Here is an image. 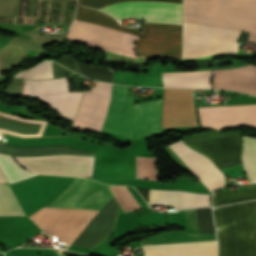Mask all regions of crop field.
I'll use <instances>...</instances> for the list:
<instances>
[{"instance_id":"crop-field-1","label":"crop field","mask_w":256,"mask_h":256,"mask_svg":"<svg viewBox=\"0 0 256 256\" xmlns=\"http://www.w3.org/2000/svg\"><path fill=\"white\" fill-rule=\"evenodd\" d=\"M182 21L246 31L256 41V0H183ZM185 22L182 58L237 53L241 32Z\"/></svg>"},{"instance_id":"crop-field-2","label":"crop field","mask_w":256,"mask_h":256,"mask_svg":"<svg viewBox=\"0 0 256 256\" xmlns=\"http://www.w3.org/2000/svg\"><path fill=\"white\" fill-rule=\"evenodd\" d=\"M121 1H160L181 3V0H78V3L99 9ZM160 2H122L99 9L115 19L136 16L145 22L181 24V4ZM136 51L139 56H161L181 59V25L146 23Z\"/></svg>"},{"instance_id":"crop-field-3","label":"crop field","mask_w":256,"mask_h":256,"mask_svg":"<svg viewBox=\"0 0 256 256\" xmlns=\"http://www.w3.org/2000/svg\"><path fill=\"white\" fill-rule=\"evenodd\" d=\"M109 187L89 179L76 178L45 207L100 210L113 197ZM97 212L73 210L53 235L71 244Z\"/></svg>"},{"instance_id":"crop-field-4","label":"crop field","mask_w":256,"mask_h":256,"mask_svg":"<svg viewBox=\"0 0 256 256\" xmlns=\"http://www.w3.org/2000/svg\"><path fill=\"white\" fill-rule=\"evenodd\" d=\"M218 256H256V201L214 208Z\"/></svg>"},{"instance_id":"crop-field-5","label":"crop field","mask_w":256,"mask_h":256,"mask_svg":"<svg viewBox=\"0 0 256 256\" xmlns=\"http://www.w3.org/2000/svg\"><path fill=\"white\" fill-rule=\"evenodd\" d=\"M74 20L120 30L132 35L140 36L142 34L141 32L122 27L111 17L90 8L77 6L76 17ZM77 21H73L67 32V38L86 42L91 46L109 52L134 55L133 44L138 37Z\"/></svg>"},{"instance_id":"crop-field-6","label":"crop field","mask_w":256,"mask_h":256,"mask_svg":"<svg viewBox=\"0 0 256 256\" xmlns=\"http://www.w3.org/2000/svg\"><path fill=\"white\" fill-rule=\"evenodd\" d=\"M83 92L68 93L66 78L24 80L23 94L36 95L57 109L65 118L74 120Z\"/></svg>"},{"instance_id":"crop-field-7","label":"crop field","mask_w":256,"mask_h":256,"mask_svg":"<svg viewBox=\"0 0 256 256\" xmlns=\"http://www.w3.org/2000/svg\"><path fill=\"white\" fill-rule=\"evenodd\" d=\"M19 163L33 165L62 166L92 169L94 157L72 156V155H55L46 157H15ZM23 167L35 173L52 174V175H71L91 177L92 170L44 167L21 164Z\"/></svg>"},{"instance_id":"crop-field-8","label":"crop field","mask_w":256,"mask_h":256,"mask_svg":"<svg viewBox=\"0 0 256 256\" xmlns=\"http://www.w3.org/2000/svg\"><path fill=\"white\" fill-rule=\"evenodd\" d=\"M111 85L97 83L90 92H84L73 126L100 131L104 120Z\"/></svg>"},{"instance_id":"crop-field-9","label":"crop field","mask_w":256,"mask_h":256,"mask_svg":"<svg viewBox=\"0 0 256 256\" xmlns=\"http://www.w3.org/2000/svg\"><path fill=\"white\" fill-rule=\"evenodd\" d=\"M202 124L215 130L235 125L256 127V105L199 108Z\"/></svg>"},{"instance_id":"crop-field-10","label":"crop field","mask_w":256,"mask_h":256,"mask_svg":"<svg viewBox=\"0 0 256 256\" xmlns=\"http://www.w3.org/2000/svg\"><path fill=\"white\" fill-rule=\"evenodd\" d=\"M169 147L210 191L224 186V174L215 167L211 160L191 150L181 140Z\"/></svg>"},{"instance_id":"crop-field-11","label":"crop field","mask_w":256,"mask_h":256,"mask_svg":"<svg viewBox=\"0 0 256 256\" xmlns=\"http://www.w3.org/2000/svg\"><path fill=\"white\" fill-rule=\"evenodd\" d=\"M133 97H126V87L112 85L111 102L102 131L128 137L132 116Z\"/></svg>"},{"instance_id":"crop-field-12","label":"crop field","mask_w":256,"mask_h":256,"mask_svg":"<svg viewBox=\"0 0 256 256\" xmlns=\"http://www.w3.org/2000/svg\"><path fill=\"white\" fill-rule=\"evenodd\" d=\"M187 145L210 157L219 169L238 165L240 162L241 144L238 134Z\"/></svg>"},{"instance_id":"crop-field-13","label":"crop field","mask_w":256,"mask_h":256,"mask_svg":"<svg viewBox=\"0 0 256 256\" xmlns=\"http://www.w3.org/2000/svg\"><path fill=\"white\" fill-rule=\"evenodd\" d=\"M213 87L256 95V67L212 70Z\"/></svg>"},{"instance_id":"crop-field-14","label":"crop field","mask_w":256,"mask_h":256,"mask_svg":"<svg viewBox=\"0 0 256 256\" xmlns=\"http://www.w3.org/2000/svg\"><path fill=\"white\" fill-rule=\"evenodd\" d=\"M163 100L136 104L135 116L129 139L146 138L160 134L161 110Z\"/></svg>"},{"instance_id":"crop-field-15","label":"crop field","mask_w":256,"mask_h":256,"mask_svg":"<svg viewBox=\"0 0 256 256\" xmlns=\"http://www.w3.org/2000/svg\"><path fill=\"white\" fill-rule=\"evenodd\" d=\"M143 256H216V240L143 246Z\"/></svg>"},{"instance_id":"crop-field-16","label":"crop field","mask_w":256,"mask_h":256,"mask_svg":"<svg viewBox=\"0 0 256 256\" xmlns=\"http://www.w3.org/2000/svg\"><path fill=\"white\" fill-rule=\"evenodd\" d=\"M158 201L179 209V191L149 189V204ZM209 206V195L180 191V209Z\"/></svg>"},{"instance_id":"crop-field-17","label":"crop field","mask_w":256,"mask_h":256,"mask_svg":"<svg viewBox=\"0 0 256 256\" xmlns=\"http://www.w3.org/2000/svg\"><path fill=\"white\" fill-rule=\"evenodd\" d=\"M211 70L196 72L163 73L164 87L211 88Z\"/></svg>"},{"instance_id":"crop-field-18","label":"crop field","mask_w":256,"mask_h":256,"mask_svg":"<svg viewBox=\"0 0 256 256\" xmlns=\"http://www.w3.org/2000/svg\"><path fill=\"white\" fill-rule=\"evenodd\" d=\"M242 165L250 183H256V138L243 136Z\"/></svg>"},{"instance_id":"crop-field-19","label":"crop field","mask_w":256,"mask_h":256,"mask_svg":"<svg viewBox=\"0 0 256 256\" xmlns=\"http://www.w3.org/2000/svg\"><path fill=\"white\" fill-rule=\"evenodd\" d=\"M0 216H26L9 185L0 184Z\"/></svg>"},{"instance_id":"crop-field-20","label":"crop field","mask_w":256,"mask_h":256,"mask_svg":"<svg viewBox=\"0 0 256 256\" xmlns=\"http://www.w3.org/2000/svg\"><path fill=\"white\" fill-rule=\"evenodd\" d=\"M249 186L251 190L214 193L213 206L256 199V184Z\"/></svg>"},{"instance_id":"crop-field-21","label":"crop field","mask_w":256,"mask_h":256,"mask_svg":"<svg viewBox=\"0 0 256 256\" xmlns=\"http://www.w3.org/2000/svg\"><path fill=\"white\" fill-rule=\"evenodd\" d=\"M0 168L8 183L25 179L34 175L20 168L16 161L10 156L0 155Z\"/></svg>"},{"instance_id":"crop-field-22","label":"crop field","mask_w":256,"mask_h":256,"mask_svg":"<svg viewBox=\"0 0 256 256\" xmlns=\"http://www.w3.org/2000/svg\"><path fill=\"white\" fill-rule=\"evenodd\" d=\"M80 73L96 81L111 83L113 69L76 63Z\"/></svg>"},{"instance_id":"crop-field-23","label":"crop field","mask_w":256,"mask_h":256,"mask_svg":"<svg viewBox=\"0 0 256 256\" xmlns=\"http://www.w3.org/2000/svg\"><path fill=\"white\" fill-rule=\"evenodd\" d=\"M16 78L51 79L53 78L51 61H44L36 67L15 74Z\"/></svg>"},{"instance_id":"crop-field-24","label":"crop field","mask_w":256,"mask_h":256,"mask_svg":"<svg viewBox=\"0 0 256 256\" xmlns=\"http://www.w3.org/2000/svg\"><path fill=\"white\" fill-rule=\"evenodd\" d=\"M136 177L156 180L155 158L136 157Z\"/></svg>"},{"instance_id":"crop-field-25","label":"crop field","mask_w":256,"mask_h":256,"mask_svg":"<svg viewBox=\"0 0 256 256\" xmlns=\"http://www.w3.org/2000/svg\"><path fill=\"white\" fill-rule=\"evenodd\" d=\"M184 213H185L187 228L199 232L194 209L184 210Z\"/></svg>"},{"instance_id":"crop-field-26","label":"crop field","mask_w":256,"mask_h":256,"mask_svg":"<svg viewBox=\"0 0 256 256\" xmlns=\"http://www.w3.org/2000/svg\"><path fill=\"white\" fill-rule=\"evenodd\" d=\"M54 61L79 73V71L76 67L75 61H74V59L71 55L61 57V58H59L57 60H54Z\"/></svg>"},{"instance_id":"crop-field-27","label":"crop field","mask_w":256,"mask_h":256,"mask_svg":"<svg viewBox=\"0 0 256 256\" xmlns=\"http://www.w3.org/2000/svg\"><path fill=\"white\" fill-rule=\"evenodd\" d=\"M52 66H53V74H54V78H58V77H64L65 74L70 75L73 72L55 64L52 62Z\"/></svg>"},{"instance_id":"crop-field-28","label":"crop field","mask_w":256,"mask_h":256,"mask_svg":"<svg viewBox=\"0 0 256 256\" xmlns=\"http://www.w3.org/2000/svg\"><path fill=\"white\" fill-rule=\"evenodd\" d=\"M129 192L132 194V196L135 198V200L138 202V204L142 207H146L148 206L144 200L142 199V197L136 192L135 189L131 188V187H126ZM124 211V210H123Z\"/></svg>"},{"instance_id":"crop-field-29","label":"crop field","mask_w":256,"mask_h":256,"mask_svg":"<svg viewBox=\"0 0 256 256\" xmlns=\"http://www.w3.org/2000/svg\"><path fill=\"white\" fill-rule=\"evenodd\" d=\"M6 182L2 174L0 173V183Z\"/></svg>"}]
</instances>
